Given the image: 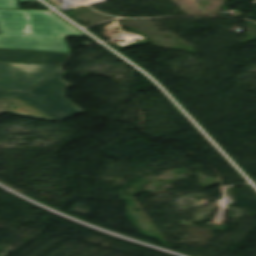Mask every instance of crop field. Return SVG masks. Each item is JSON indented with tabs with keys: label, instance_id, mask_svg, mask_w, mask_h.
Masks as SVG:
<instances>
[{
	"label": "crop field",
	"instance_id": "obj_3",
	"mask_svg": "<svg viewBox=\"0 0 256 256\" xmlns=\"http://www.w3.org/2000/svg\"><path fill=\"white\" fill-rule=\"evenodd\" d=\"M59 67L0 63V89L23 91Z\"/></svg>",
	"mask_w": 256,
	"mask_h": 256
},
{
	"label": "crop field",
	"instance_id": "obj_2",
	"mask_svg": "<svg viewBox=\"0 0 256 256\" xmlns=\"http://www.w3.org/2000/svg\"><path fill=\"white\" fill-rule=\"evenodd\" d=\"M64 74L58 69L23 92L0 90V99L15 96L58 122L85 113L66 99L65 91L72 85L63 81Z\"/></svg>",
	"mask_w": 256,
	"mask_h": 256
},
{
	"label": "crop field",
	"instance_id": "obj_7",
	"mask_svg": "<svg viewBox=\"0 0 256 256\" xmlns=\"http://www.w3.org/2000/svg\"><path fill=\"white\" fill-rule=\"evenodd\" d=\"M19 1H21V2H31V3H37V2H35L34 0H19Z\"/></svg>",
	"mask_w": 256,
	"mask_h": 256
},
{
	"label": "crop field",
	"instance_id": "obj_4",
	"mask_svg": "<svg viewBox=\"0 0 256 256\" xmlns=\"http://www.w3.org/2000/svg\"><path fill=\"white\" fill-rule=\"evenodd\" d=\"M70 54L0 49V62L61 66Z\"/></svg>",
	"mask_w": 256,
	"mask_h": 256
},
{
	"label": "crop field",
	"instance_id": "obj_8",
	"mask_svg": "<svg viewBox=\"0 0 256 256\" xmlns=\"http://www.w3.org/2000/svg\"><path fill=\"white\" fill-rule=\"evenodd\" d=\"M1 33V32H0Z\"/></svg>",
	"mask_w": 256,
	"mask_h": 256
},
{
	"label": "crop field",
	"instance_id": "obj_5",
	"mask_svg": "<svg viewBox=\"0 0 256 256\" xmlns=\"http://www.w3.org/2000/svg\"><path fill=\"white\" fill-rule=\"evenodd\" d=\"M14 106L17 108L13 109ZM3 112L55 121L15 97L0 101V114Z\"/></svg>",
	"mask_w": 256,
	"mask_h": 256
},
{
	"label": "crop field",
	"instance_id": "obj_6",
	"mask_svg": "<svg viewBox=\"0 0 256 256\" xmlns=\"http://www.w3.org/2000/svg\"><path fill=\"white\" fill-rule=\"evenodd\" d=\"M0 8L19 9L17 0H0Z\"/></svg>",
	"mask_w": 256,
	"mask_h": 256
},
{
	"label": "crop field",
	"instance_id": "obj_1",
	"mask_svg": "<svg viewBox=\"0 0 256 256\" xmlns=\"http://www.w3.org/2000/svg\"><path fill=\"white\" fill-rule=\"evenodd\" d=\"M0 48L70 53L64 36H85L50 11L0 9Z\"/></svg>",
	"mask_w": 256,
	"mask_h": 256
}]
</instances>
